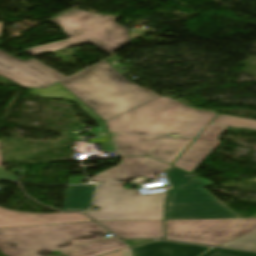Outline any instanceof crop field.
<instances>
[{
  "mask_svg": "<svg viewBox=\"0 0 256 256\" xmlns=\"http://www.w3.org/2000/svg\"><path fill=\"white\" fill-rule=\"evenodd\" d=\"M92 221L80 213L37 215L0 208V228Z\"/></svg>",
  "mask_w": 256,
  "mask_h": 256,
  "instance_id": "22f410ed",
  "label": "crop field"
},
{
  "mask_svg": "<svg viewBox=\"0 0 256 256\" xmlns=\"http://www.w3.org/2000/svg\"><path fill=\"white\" fill-rule=\"evenodd\" d=\"M168 166L150 157L121 158L117 166L96 175L91 180L96 182L126 181L131 177H146Z\"/></svg>",
  "mask_w": 256,
  "mask_h": 256,
  "instance_id": "28ad6ade",
  "label": "crop field"
},
{
  "mask_svg": "<svg viewBox=\"0 0 256 256\" xmlns=\"http://www.w3.org/2000/svg\"><path fill=\"white\" fill-rule=\"evenodd\" d=\"M29 95L74 100L78 106L96 122L103 121L59 83L48 89H32Z\"/></svg>",
  "mask_w": 256,
  "mask_h": 256,
  "instance_id": "733c2abd",
  "label": "crop field"
},
{
  "mask_svg": "<svg viewBox=\"0 0 256 256\" xmlns=\"http://www.w3.org/2000/svg\"><path fill=\"white\" fill-rule=\"evenodd\" d=\"M106 233L94 222L3 228L0 229V251L6 256L61 253L103 239Z\"/></svg>",
  "mask_w": 256,
  "mask_h": 256,
  "instance_id": "34b2d1b8",
  "label": "crop field"
},
{
  "mask_svg": "<svg viewBox=\"0 0 256 256\" xmlns=\"http://www.w3.org/2000/svg\"><path fill=\"white\" fill-rule=\"evenodd\" d=\"M61 84L105 121L160 97L126 80L106 61Z\"/></svg>",
  "mask_w": 256,
  "mask_h": 256,
  "instance_id": "8a807250",
  "label": "crop field"
},
{
  "mask_svg": "<svg viewBox=\"0 0 256 256\" xmlns=\"http://www.w3.org/2000/svg\"><path fill=\"white\" fill-rule=\"evenodd\" d=\"M105 256H131V251H130V248H129L127 250L112 253V254H108V255H105Z\"/></svg>",
  "mask_w": 256,
  "mask_h": 256,
  "instance_id": "00972430",
  "label": "crop field"
},
{
  "mask_svg": "<svg viewBox=\"0 0 256 256\" xmlns=\"http://www.w3.org/2000/svg\"><path fill=\"white\" fill-rule=\"evenodd\" d=\"M166 239L220 246L256 229V219L165 220Z\"/></svg>",
  "mask_w": 256,
  "mask_h": 256,
  "instance_id": "dd49c442",
  "label": "crop field"
},
{
  "mask_svg": "<svg viewBox=\"0 0 256 256\" xmlns=\"http://www.w3.org/2000/svg\"><path fill=\"white\" fill-rule=\"evenodd\" d=\"M212 123L230 127L256 129V121L254 120L225 115H219Z\"/></svg>",
  "mask_w": 256,
  "mask_h": 256,
  "instance_id": "4a817a6b",
  "label": "crop field"
},
{
  "mask_svg": "<svg viewBox=\"0 0 256 256\" xmlns=\"http://www.w3.org/2000/svg\"><path fill=\"white\" fill-rule=\"evenodd\" d=\"M215 116L161 97L106 123L110 132L196 137Z\"/></svg>",
  "mask_w": 256,
  "mask_h": 256,
  "instance_id": "ac0d7876",
  "label": "crop field"
},
{
  "mask_svg": "<svg viewBox=\"0 0 256 256\" xmlns=\"http://www.w3.org/2000/svg\"><path fill=\"white\" fill-rule=\"evenodd\" d=\"M165 174H166L172 188H178L179 186L183 185L187 181L196 177L192 174L184 172V171H182L180 169H177L175 167L165 171Z\"/></svg>",
  "mask_w": 256,
  "mask_h": 256,
  "instance_id": "214f88e0",
  "label": "crop field"
},
{
  "mask_svg": "<svg viewBox=\"0 0 256 256\" xmlns=\"http://www.w3.org/2000/svg\"><path fill=\"white\" fill-rule=\"evenodd\" d=\"M225 129L215 125L209 126L174 165L189 172L193 171L221 143L217 138Z\"/></svg>",
  "mask_w": 256,
  "mask_h": 256,
  "instance_id": "d1516ede",
  "label": "crop field"
},
{
  "mask_svg": "<svg viewBox=\"0 0 256 256\" xmlns=\"http://www.w3.org/2000/svg\"><path fill=\"white\" fill-rule=\"evenodd\" d=\"M90 143L100 142L104 151H115L110 139H97V140H90Z\"/></svg>",
  "mask_w": 256,
  "mask_h": 256,
  "instance_id": "92a150f3",
  "label": "crop field"
},
{
  "mask_svg": "<svg viewBox=\"0 0 256 256\" xmlns=\"http://www.w3.org/2000/svg\"><path fill=\"white\" fill-rule=\"evenodd\" d=\"M97 124H98V126H99L100 132L108 133L107 128H106V126H105V123H104V122L97 123Z\"/></svg>",
  "mask_w": 256,
  "mask_h": 256,
  "instance_id": "4177f3b9",
  "label": "crop field"
},
{
  "mask_svg": "<svg viewBox=\"0 0 256 256\" xmlns=\"http://www.w3.org/2000/svg\"><path fill=\"white\" fill-rule=\"evenodd\" d=\"M222 246L256 250V230L235 240H232Z\"/></svg>",
  "mask_w": 256,
  "mask_h": 256,
  "instance_id": "bc2a9ffb",
  "label": "crop field"
},
{
  "mask_svg": "<svg viewBox=\"0 0 256 256\" xmlns=\"http://www.w3.org/2000/svg\"><path fill=\"white\" fill-rule=\"evenodd\" d=\"M95 185L69 186L63 211L90 207Z\"/></svg>",
  "mask_w": 256,
  "mask_h": 256,
  "instance_id": "5142ce71",
  "label": "crop field"
},
{
  "mask_svg": "<svg viewBox=\"0 0 256 256\" xmlns=\"http://www.w3.org/2000/svg\"><path fill=\"white\" fill-rule=\"evenodd\" d=\"M193 138L118 135L119 157L148 155L170 164Z\"/></svg>",
  "mask_w": 256,
  "mask_h": 256,
  "instance_id": "d8731c3e",
  "label": "crop field"
},
{
  "mask_svg": "<svg viewBox=\"0 0 256 256\" xmlns=\"http://www.w3.org/2000/svg\"><path fill=\"white\" fill-rule=\"evenodd\" d=\"M3 163H2V159H1V153H0V165H2Z\"/></svg>",
  "mask_w": 256,
  "mask_h": 256,
  "instance_id": "730fd06b",
  "label": "crop field"
},
{
  "mask_svg": "<svg viewBox=\"0 0 256 256\" xmlns=\"http://www.w3.org/2000/svg\"><path fill=\"white\" fill-rule=\"evenodd\" d=\"M0 179L3 180H18L17 177L11 175V174H7L3 171L2 166H0Z\"/></svg>",
  "mask_w": 256,
  "mask_h": 256,
  "instance_id": "dafd665d",
  "label": "crop field"
},
{
  "mask_svg": "<svg viewBox=\"0 0 256 256\" xmlns=\"http://www.w3.org/2000/svg\"><path fill=\"white\" fill-rule=\"evenodd\" d=\"M0 74L23 87H46L65 75L31 58L24 61L0 50Z\"/></svg>",
  "mask_w": 256,
  "mask_h": 256,
  "instance_id": "5a996713",
  "label": "crop field"
},
{
  "mask_svg": "<svg viewBox=\"0 0 256 256\" xmlns=\"http://www.w3.org/2000/svg\"><path fill=\"white\" fill-rule=\"evenodd\" d=\"M85 180H86V178L69 179L68 184L82 183V181H85Z\"/></svg>",
  "mask_w": 256,
  "mask_h": 256,
  "instance_id": "a9b5d70f",
  "label": "crop field"
},
{
  "mask_svg": "<svg viewBox=\"0 0 256 256\" xmlns=\"http://www.w3.org/2000/svg\"><path fill=\"white\" fill-rule=\"evenodd\" d=\"M125 183L98 186L94 205L99 211L87 212L98 221L162 219L167 193L140 195L125 191Z\"/></svg>",
  "mask_w": 256,
  "mask_h": 256,
  "instance_id": "f4fd0767",
  "label": "crop field"
},
{
  "mask_svg": "<svg viewBox=\"0 0 256 256\" xmlns=\"http://www.w3.org/2000/svg\"><path fill=\"white\" fill-rule=\"evenodd\" d=\"M209 247L159 241L133 248L134 256H198ZM202 256H256V253L213 248Z\"/></svg>",
  "mask_w": 256,
  "mask_h": 256,
  "instance_id": "3316defc",
  "label": "crop field"
},
{
  "mask_svg": "<svg viewBox=\"0 0 256 256\" xmlns=\"http://www.w3.org/2000/svg\"><path fill=\"white\" fill-rule=\"evenodd\" d=\"M212 184L197 177L170 191L165 219L240 218L204 189Z\"/></svg>",
  "mask_w": 256,
  "mask_h": 256,
  "instance_id": "e52e79f7",
  "label": "crop field"
},
{
  "mask_svg": "<svg viewBox=\"0 0 256 256\" xmlns=\"http://www.w3.org/2000/svg\"><path fill=\"white\" fill-rule=\"evenodd\" d=\"M118 18L78 9L68 11L50 21L58 24L70 39L25 49L24 52L37 55L90 43L110 54L132 42L126 28L114 22Z\"/></svg>",
  "mask_w": 256,
  "mask_h": 256,
  "instance_id": "412701ff",
  "label": "crop field"
},
{
  "mask_svg": "<svg viewBox=\"0 0 256 256\" xmlns=\"http://www.w3.org/2000/svg\"><path fill=\"white\" fill-rule=\"evenodd\" d=\"M2 23H0V29H1Z\"/></svg>",
  "mask_w": 256,
  "mask_h": 256,
  "instance_id": "eef30255",
  "label": "crop field"
},
{
  "mask_svg": "<svg viewBox=\"0 0 256 256\" xmlns=\"http://www.w3.org/2000/svg\"><path fill=\"white\" fill-rule=\"evenodd\" d=\"M115 234L126 238L164 237L162 220L100 222Z\"/></svg>",
  "mask_w": 256,
  "mask_h": 256,
  "instance_id": "cbeb9de0",
  "label": "crop field"
},
{
  "mask_svg": "<svg viewBox=\"0 0 256 256\" xmlns=\"http://www.w3.org/2000/svg\"><path fill=\"white\" fill-rule=\"evenodd\" d=\"M125 247H129V246L123 241H121L119 238L112 237V238L99 241L97 243L85 246L83 248H80L74 251L62 253V255L63 256H97L100 254L115 251Z\"/></svg>",
  "mask_w": 256,
  "mask_h": 256,
  "instance_id": "d9b57169",
  "label": "crop field"
}]
</instances>
